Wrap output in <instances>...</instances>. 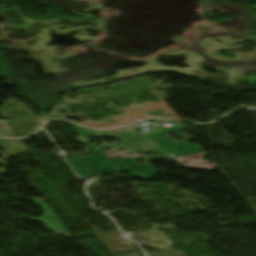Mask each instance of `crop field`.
<instances>
[{
	"label": "crop field",
	"mask_w": 256,
	"mask_h": 256,
	"mask_svg": "<svg viewBox=\"0 0 256 256\" xmlns=\"http://www.w3.org/2000/svg\"><path fill=\"white\" fill-rule=\"evenodd\" d=\"M176 125H180L181 128H177ZM184 129L185 127L183 126V124H175L155 134H140V133H130V132H117V131H104L105 133H101V134H99L98 132H102V131H97L96 133L90 132V134L93 136L97 134L99 136H96V137L101 138V137L107 136L109 132H113L114 134H116L115 137L122 140L118 143L117 146L115 147L112 146L113 143H108V145L99 144V143L98 144L102 146L113 147V148H117V147H119L120 149L125 148L126 149L125 152L132 153L134 155H136L135 153H137L138 150H140L139 152H148V151L154 150L153 152L160 154L157 157L158 159H168L170 158L169 154H175L174 157H177V156L203 152L202 149L196 145L190 146L186 141L176 142L173 138H171L168 135L171 133H176L181 137L188 139L185 136V134L184 135L180 134V132L184 131ZM102 134H105V135L102 136ZM125 134H127L128 136L126 137ZM189 138L192 139V137H189ZM151 139H153V141H151ZM141 140H143L144 142H141ZM154 144H156V146H154ZM169 144L170 146L168 147L167 145ZM132 146H135V147L140 146V149H138L137 147L136 149H133L131 148ZM182 148H185L186 150L181 151L180 153H177V151ZM164 149L167 150L166 151L167 153H164L165 151ZM173 151H175V153H173ZM160 156H164V157L161 158Z\"/></svg>",
	"instance_id": "obj_1"
},
{
	"label": "crop field",
	"mask_w": 256,
	"mask_h": 256,
	"mask_svg": "<svg viewBox=\"0 0 256 256\" xmlns=\"http://www.w3.org/2000/svg\"><path fill=\"white\" fill-rule=\"evenodd\" d=\"M97 153H99L97 155ZM83 179L99 172L119 171L114 164L101 150H94L93 156L84 158H74L69 160ZM97 169L98 171H93Z\"/></svg>",
	"instance_id": "obj_2"
},
{
	"label": "crop field",
	"mask_w": 256,
	"mask_h": 256,
	"mask_svg": "<svg viewBox=\"0 0 256 256\" xmlns=\"http://www.w3.org/2000/svg\"><path fill=\"white\" fill-rule=\"evenodd\" d=\"M111 160L120 171H127L139 179L147 180L157 173L154 168L147 164L150 160H147L144 165H137L138 159L111 158Z\"/></svg>",
	"instance_id": "obj_3"
},
{
	"label": "crop field",
	"mask_w": 256,
	"mask_h": 256,
	"mask_svg": "<svg viewBox=\"0 0 256 256\" xmlns=\"http://www.w3.org/2000/svg\"><path fill=\"white\" fill-rule=\"evenodd\" d=\"M34 201L36 204L44 208L45 210L44 217L32 218L30 220L36 221V222H42L48 230L54 233H57L64 237H72L71 234L63 226V224L59 221V219L56 217V215L52 212V210L48 207V205L44 202L43 199L36 198L34 199Z\"/></svg>",
	"instance_id": "obj_4"
},
{
	"label": "crop field",
	"mask_w": 256,
	"mask_h": 256,
	"mask_svg": "<svg viewBox=\"0 0 256 256\" xmlns=\"http://www.w3.org/2000/svg\"><path fill=\"white\" fill-rule=\"evenodd\" d=\"M206 155V153L203 154H198V155H193V156H187V157H182V158H177V159H173L175 161L178 162V164H180L181 166L185 167V168H192V169H203L206 168L208 170H212L214 168H216L215 165L211 164L208 161H202L200 159L201 156ZM190 162L187 165H184V162Z\"/></svg>",
	"instance_id": "obj_5"
},
{
	"label": "crop field",
	"mask_w": 256,
	"mask_h": 256,
	"mask_svg": "<svg viewBox=\"0 0 256 256\" xmlns=\"http://www.w3.org/2000/svg\"><path fill=\"white\" fill-rule=\"evenodd\" d=\"M105 153H107L109 155V157H142V156H130V155H127V153H125V152L122 154H117L116 149L106 151ZM142 158L157 159L156 157H142Z\"/></svg>",
	"instance_id": "obj_6"
},
{
	"label": "crop field",
	"mask_w": 256,
	"mask_h": 256,
	"mask_svg": "<svg viewBox=\"0 0 256 256\" xmlns=\"http://www.w3.org/2000/svg\"><path fill=\"white\" fill-rule=\"evenodd\" d=\"M77 129H78V131H79L84 137L90 136V134L88 133L87 130H85V129L81 128V127H77Z\"/></svg>",
	"instance_id": "obj_7"
},
{
	"label": "crop field",
	"mask_w": 256,
	"mask_h": 256,
	"mask_svg": "<svg viewBox=\"0 0 256 256\" xmlns=\"http://www.w3.org/2000/svg\"><path fill=\"white\" fill-rule=\"evenodd\" d=\"M161 111V113H162V111H163V109L162 110H160ZM151 113H157V112H147L146 114H150V115H153V114H151ZM161 113H158V115L157 116H162V114ZM172 116V114H167L166 116Z\"/></svg>",
	"instance_id": "obj_8"
}]
</instances>
